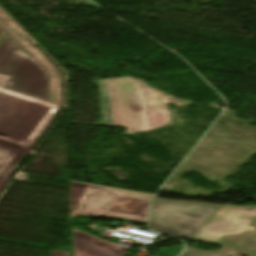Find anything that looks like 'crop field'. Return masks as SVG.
I'll list each match as a JSON object with an SVG mask.
<instances>
[{
    "mask_svg": "<svg viewBox=\"0 0 256 256\" xmlns=\"http://www.w3.org/2000/svg\"><path fill=\"white\" fill-rule=\"evenodd\" d=\"M0 27L47 69L51 103L61 105L60 72L1 9ZM9 78L0 75V143L29 152L59 106L2 89Z\"/></svg>",
    "mask_w": 256,
    "mask_h": 256,
    "instance_id": "8a807250",
    "label": "crop field"
},
{
    "mask_svg": "<svg viewBox=\"0 0 256 256\" xmlns=\"http://www.w3.org/2000/svg\"><path fill=\"white\" fill-rule=\"evenodd\" d=\"M6 36L9 35L0 42V74L12 77L4 89L48 101L45 71ZM26 155L27 152L0 144V176L10 178Z\"/></svg>",
    "mask_w": 256,
    "mask_h": 256,
    "instance_id": "ac0d7876",
    "label": "crop field"
},
{
    "mask_svg": "<svg viewBox=\"0 0 256 256\" xmlns=\"http://www.w3.org/2000/svg\"><path fill=\"white\" fill-rule=\"evenodd\" d=\"M192 239L236 248V254L254 256L256 206L220 205Z\"/></svg>",
    "mask_w": 256,
    "mask_h": 256,
    "instance_id": "34b2d1b8",
    "label": "crop field"
},
{
    "mask_svg": "<svg viewBox=\"0 0 256 256\" xmlns=\"http://www.w3.org/2000/svg\"><path fill=\"white\" fill-rule=\"evenodd\" d=\"M103 125L127 128L123 134L142 132V102L127 78L99 80Z\"/></svg>",
    "mask_w": 256,
    "mask_h": 256,
    "instance_id": "412701ff",
    "label": "crop field"
},
{
    "mask_svg": "<svg viewBox=\"0 0 256 256\" xmlns=\"http://www.w3.org/2000/svg\"><path fill=\"white\" fill-rule=\"evenodd\" d=\"M218 206L155 198L149 227L157 232L191 239Z\"/></svg>",
    "mask_w": 256,
    "mask_h": 256,
    "instance_id": "f4fd0767",
    "label": "crop field"
},
{
    "mask_svg": "<svg viewBox=\"0 0 256 256\" xmlns=\"http://www.w3.org/2000/svg\"><path fill=\"white\" fill-rule=\"evenodd\" d=\"M121 197L147 202H150L152 198L151 195L91 185L78 211V214L92 217L108 216L145 222V216L109 210L110 206Z\"/></svg>",
    "mask_w": 256,
    "mask_h": 256,
    "instance_id": "dd49c442",
    "label": "crop field"
},
{
    "mask_svg": "<svg viewBox=\"0 0 256 256\" xmlns=\"http://www.w3.org/2000/svg\"><path fill=\"white\" fill-rule=\"evenodd\" d=\"M139 89L144 98L143 122L144 130L168 123L166 95L154 92L144 86L142 81L130 79Z\"/></svg>",
    "mask_w": 256,
    "mask_h": 256,
    "instance_id": "e52e79f7",
    "label": "crop field"
},
{
    "mask_svg": "<svg viewBox=\"0 0 256 256\" xmlns=\"http://www.w3.org/2000/svg\"><path fill=\"white\" fill-rule=\"evenodd\" d=\"M127 248L73 229L74 256H124Z\"/></svg>",
    "mask_w": 256,
    "mask_h": 256,
    "instance_id": "d8731c3e",
    "label": "crop field"
},
{
    "mask_svg": "<svg viewBox=\"0 0 256 256\" xmlns=\"http://www.w3.org/2000/svg\"><path fill=\"white\" fill-rule=\"evenodd\" d=\"M147 202L135 201L121 198L110 209L122 212L136 213L145 215L148 207Z\"/></svg>",
    "mask_w": 256,
    "mask_h": 256,
    "instance_id": "5a996713",
    "label": "crop field"
},
{
    "mask_svg": "<svg viewBox=\"0 0 256 256\" xmlns=\"http://www.w3.org/2000/svg\"><path fill=\"white\" fill-rule=\"evenodd\" d=\"M90 185L71 182V196H72V213L77 215V211L83 201V198Z\"/></svg>",
    "mask_w": 256,
    "mask_h": 256,
    "instance_id": "3316defc",
    "label": "crop field"
},
{
    "mask_svg": "<svg viewBox=\"0 0 256 256\" xmlns=\"http://www.w3.org/2000/svg\"><path fill=\"white\" fill-rule=\"evenodd\" d=\"M236 249L223 247L219 251H203L193 248H187L182 256H232Z\"/></svg>",
    "mask_w": 256,
    "mask_h": 256,
    "instance_id": "28ad6ade",
    "label": "crop field"
},
{
    "mask_svg": "<svg viewBox=\"0 0 256 256\" xmlns=\"http://www.w3.org/2000/svg\"><path fill=\"white\" fill-rule=\"evenodd\" d=\"M50 256H69V253L62 251H51Z\"/></svg>",
    "mask_w": 256,
    "mask_h": 256,
    "instance_id": "d1516ede",
    "label": "crop field"
},
{
    "mask_svg": "<svg viewBox=\"0 0 256 256\" xmlns=\"http://www.w3.org/2000/svg\"><path fill=\"white\" fill-rule=\"evenodd\" d=\"M7 181H8L7 178H1L0 177V191L3 188V186L6 184Z\"/></svg>",
    "mask_w": 256,
    "mask_h": 256,
    "instance_id": "22f410ed",
    "label": "crop field"
},
{
    "mask_svg": "<svg viewBox=\"0 0 256 256\" xmlns=\"http://www.w3.org/2000/svg\"><path fill=\"white\" fill-rule=\"evenodd\" d=\"M256 256V255H255Z\"/></svg>",
    "mask_w": 256,
    "mask_h": 256,
    "instance_id": "cbeb9de0",
    "label": "crop field"
}]
</instances>
